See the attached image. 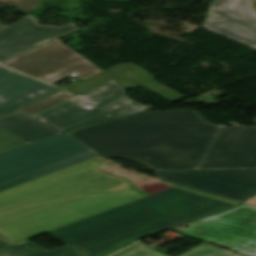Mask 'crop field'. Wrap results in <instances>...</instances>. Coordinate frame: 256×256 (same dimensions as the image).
<instances>
[{"mask_svg":"<svg viewBox=\"0 0 256 256\" xmlns=\"http://www.w3.org/2000/svg\"><path fill=\"white\" fill-rule=\"evenodd\" d=\"M91 151L67 134L0 154V184Z\"/></svg>","mask_w":256,"mask_h":256,"instance_id":"crop-field-7","label":"crop field"},{"mask_svg":"<svg viewBox=\"0 0 256 256\" xmlns=\"http://www.w3.org/2000/svg\"><path fill=\"white\" fill-rule=\"evenodd\" d=\"M202 27L256 49V12L250 0H215Z\"/></svg>","mask_w":256,"mask_h":256,"instance_id":"crop-field-9","label":"crop field"},{"mask_svg":"<svg viewBox=\"0 0 256 256\" xmlns=\"http://www.w3.org/2000/svg\"><path fill=\"white\" fill-rule=\"evenodd\" d=\"M154 78L146 70L135 64H120L65 90L77 96L113 80L128 89L143 87L171 102L185 98L181 94L153 81Z\"/></svg>","mask_w":256,"mask_h":256,"instance_id":"crop-field-10","label":"crop field"},{"mask_svg":"<svg viewBox=\"0 0 256 256\" xmlns=\"http://www.w3.org/2000/svg\"><path fill=\"white\" fill-rule=\"evenodd\" d=\"M175 232L191 236L249 256H256V207L240 204L230 210L201 219Z\"/></svg>","mask_w":256,"mask_h":256,"instance_id":"crop-field-5","label":"crop field"},{"mask_svg":"<svg viewBox=\"0 0 256 256\" xmlns=\"http://www.w3.org/2000/svg\"><path fill=\"white\" fill-rule=\"evenodd\" d=\"M245 203L252 204V205L256 206V197L252 198L251 200H249V201H247Z\"/></svg>","mask_w":256,"mask_h":256,"instance_id":"crop-field-24","label":"crop field"},{"mask_svg":"<svg viewBox=\"0 0 256 256\" xmlns=\"http://www.w3.org/2000/svg\"><path fill=\"white\" fill-rule=\"evenodd\" d=\"M233 206L169 188L96 216L51 231L87 256H104L139 237L172 228Z\"/></svg>","mask_w":256,"mask_h":256,"instance_id":"crop-field-3","label":"crop field"},{"mask_svg":"<svg viewBox=\"0 0 256 256\" xmlns=\"http://www.w3.org/2000/svg\"><path fill=\"white\" fill-rule=\"evenodd\" d=\"M169 188L168 186H165V185H162V184H159V183H156V184H153L151 186H148V187H145V188H142L144 191H146L148 194L150 195H153L157 192H160L164 189H167Z\"/></svg>","mask_w":256,"mask_h":256,"instance_id":"crop-field-22","label":"crop field"},{"mask_svg":"<svg viewBox=\"0 0 256 256\" xmlns=\"http://www.w3.org/2000/svg\"><path fill=\"white\" fill-rule=\"evenodd\" d=\"M5 27H7V26L0 24V31H1L2 29H4Z\"/></svg>","mask_w":256,"mask_h":256,"instance_id":"crop-field-26","label":"crop field"},{"mask_svg":"<svg viewBox=\"0 0 256 256\" xmlns=\"http://www.w3.org/2000/svg\"><path fill=\"white\" fill-rule=\"evenodd\" d=\"M58 90L0 66V117Z\"/></svg>","mask_w":256,"mask_h":256,"instance_id":"crop-field-13","label":"crop field"},{"mask_svg":"<svg viewBox=\"0 0 256 256\" xmlns=\"http://www.w3.org/2000/svg\"><path fill=\"white\" fill-rule=\"evenodd\" d=\"M12 244L8 243L7 241H5L4 239H2L0 237V249L1 248H4V247H7V246H11Z\"/></svg>","mask_w":256,"mask_h":256,"instance_id":"crop-field-23","label":"crop field"},{"mask_svg":"<svg viewBox=\"0 0 256 256\" xmlns=\"http://www.w3.org/2000/svg\"><path fill=\"white\" fill-rule=\"evenodd\" d=\"M217 158L256 161V127L223 126L197 169H211Z\"/></svg>","mask_w":256,"mask_h":256,"instance_id":"crop-field-12","label":"crop field"},{"mask_svg":"<svg viewBox=\"0 0 256 256\" xmlns=\"http://www.w3.org/2000/svg\"><path fill=\"white\" fill-rule=\"evenodd\" d=\"M101 155L0 193V234L19 243L149 196L97 165Z\"/></svg>","mask_w":256,"mask_h":256,"instance_id":"crop-field-1","label":"crop field"},{"mask_svg":"<svg viewBox=\"0 0 256 256\" xmlns=\"http://www.w3.org/2000/svg\"><path fill=\"white\" fill-rule=\"evenodd\" d=\"M161 183L165 184V185H168V186H171V187H176V188L184 189V190L191 191V192H194V193H198V194H201V195H204V196H208V197L215 198V199H218V200H222V201H225V202H228V203H232L234 205L238 204V202L233 201V200H229V199L217 197V196H214V195L198 192V191H195V190H191V189H188V188H184V187H181V186H178V185H174V184H170V183H166V182H161Z\"/></svg>","mask_w":256,"mask_h":256,"instance_id":"crop-field-21","label":"crop field"},{"mask_svg":"<svg viewBox=\"0 0 256 256\" xmlns=\"http://www.w3.org/2000/svg\"><path fill=\"white\" fill-rule=\"evenodd\" d=\"M0 125L27 143L60 134L19 111L0 119Z\"/></svg>","mask_w":256,"mask_h":256,"instance_id":"crop-field-14","label":"crop field"},{"mask_svg":"<svg viewBox=\"0 0 256 256\" xmlns=\"http://www.w3.org/2000/svg\"><path fill=\"white\" fill-rule=\"evenodd\" d=\"M256 168V162L221 159L217 169Z\"/></svg>","mask_w":256,"mask_h":256,"instance_id":"crop-field-20","label":"crop field"},{"mask_svg":"<svg viewBox=\"0 0 256 256\" xmlns=\"http://www.w3.org/2000/svg\"><path fill=\"white\" fill-rule=\"evenodd\" d=\"M2 65L47 83L71 73L85 80L101 72V69L58 39L20 54Z\"/></svg>","mask_w":256,"mask_h":256,"instance_id":"crop-field-6","label":"crop field"},{"mask_svg":"<svg viewBox=\"0 0 256 256\" xmlns=\"http://www.w3.org/2000/svg\"><path fill=\"white\" fill-rule=\"evenodd\" d=\"M153 170H162L161 168H151Z\"/></svg>","mask_w":256,"mask_h":256,"instance_id":"crop-field-27","label":"crop field"},{"mask_svg":"<svg viewBox=\"0 0 256 256\" xmlns=\"http://www.w3.org/2000/svg\"><path fill=\"white\" fill-rule=\"evenodd\" d=\"M126 90L111 81L77 96L91 104V109L84 107L86 104L73 97L32 117L62 133H67L152 108L129 100Z\"/></svg>","mask_w":256,"mask_h":256,"instance_id":"crop-field-4","label":"crop field"},{"mask_svg":"<svg viewBox=\"0 0 256 256\" xmlns=\"http://www.w3.org/2000/svg\"><path fill=\"white\" fill-rule=\"evenodd\" d=\"M22 144H25V142L0 126V151Z\"/></svg>","mask_w":256,"mask_h":256,"instance_id":"crop-field-19","label":"crop field"},{"mask_svg":"<svg viewBox=\"0 0 256 256\" xmlns=\"http://www.w3.org/2000/svg\"><path fill=\"white\" fill-rule=\"evenodd\" d=\"M0 256H85L81 252L67 246L48 252L28 241L0 250Z\"/></svg>","mask_w":256,"mask_h":256,"instance_id":"crop-field-16","label":"crop field"},{"mask_svg":"<svg viewBox=\"0 0 256 256\" xmlns=\"http://www.w3.org/2000/svg\"><path fill=\"white\" fill-rule=\"evenodd\" d=\"M71 97H73L71 94L63 91L21 111L32 116Z\"/></svg>","mask_w":256,"mask_h":256,"instance_id":"crop-field-18","label":"crop field"},{"mask_svg":"<svg viewBox=\"0 0 256 256\" xmlns=\"http://www.w3.org/2000/svg\"><path fill=\"white\" fill-rule=\"evenodd\" d=\"M220 159H217V161L215 162L214 166L212 167V169H216L218 163H219Z\"/></svg>","mask_w":256,"mask_h":256,"instance_id":"crop-field-25","label":"crop field"},{"mask_svg":"<svg viewBox=\"0 0 256 256\" xmlns=\"http://www.w3.org/2000/svg\"><path fill=\"white\" fill-rule=\"evenodd\" d=\"M74 30L75 24L44 27L38 25L34 17L25 16L0 32V61Z\"/></svg>","mask_w":256,"mask_h":256,"instance_id":"crop-field-11","label":"crop field"},{"mask_svg":"<svg viewBox=\"0 0 256 256\" xmlns=\"http://www.w3.org/2000/svg\"><path fill=\"white\" fill-rule=\"evenodd\" d=\"M204 120L197 111L139 112L67 134L105 158L196 169L220 128Z\"/></svg>","mask_w":256,"mask_h":256,"instance_id":"crop-field-2","label":"crop field"},{"mask_svg":"<svg viewBox=\"0 0 256 256\" xmlns=\"http://www.w3.org/2000/svg\"><path fill=\"white\" fill-rule=\"evenodd\" d=\"M156 178L236 200L256 194V169L155 171Z\"/></svg>","mask_w":256,"mask_h":256,"instance_id":"crop-field-8","label":"crop field"},{"mask_svg":"<svg viewBox=\"0 0 256 256\" xmlns=\"http://www.w3.org/2000/svg\"><path fill=\"white\" fill-rule=\"evenodd\" d=\"M113 256H165L138 242ZM181 256H246L209 244H202Z\"/></svg>","mask_w":256,"mask_h":256,"instance_id":"crop-field-15","label":"crop field"},{"mask_svg":"<svg viewBox=\"0 0 256 256\" xmlns=\"http://www.w3.org/2000/svg\"><path fill=\"white\" fill-rule=\"evenodd\" d=\"M96 155H99V154L91 151V152H88L86 154L80 155L78 157L72 158L70 160L61 162L59 164H56V165L47 167L45 169L36 171L34 173H31V174H28L26 176L20 177L18 179L12 180L10 182L1 184L0 185V192L3 191V190H6V189L12 188L14 186L20 185L22 183L28 182L30 180L36 179L38 177L44 176V175L49 174L51 172L57 171L59 169L65 168V167L70 166L72 164L78 163L80 161L86 160L88 158L94 157Z\"/></svg>","mask_w":256,"mask_h":256,"instance_id":"crop-field-17","label":"crop field"}]
</instances>
